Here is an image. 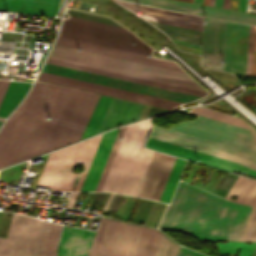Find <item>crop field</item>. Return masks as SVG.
I'll return each mask as SVG.
<instances>
[{
  "label": "crop field",
  "mask_w": 256,
  "mask_h": 256,
  "mask_svg": "<svg viewBox=\"0 0 256 256\" xmlns=\"http://www.w3.org/2000/svg\"><path fill=\"white\" fill-rule=\"evenodd\" d=\"M251 208L180 181L159 228L185 231L204 240L238 241Z\"/></svg>",
  "instance_id": "8a807250"
},
{
  "label": "crop field",
  "mask_w": 256,
  "mask_h": 256,
  "mask_svg": "<svg viewBox=\"0 0 256 256\" xmlns=\"http://www.w3.org/2000/svg\"><path fill=\"white\" fill-rule=\"evenodd\" d=\"M151 138L239 163L256 170V133L198 116L169 130L154 126Z\"/></svg>",
  "instance_id": "ac0d7876"
},
{
  "label": "crop field",
  "mask_w": 256,
  "mask_h": 256,
  "mask_svg": "<svg viewBox=\"0 0 256 256\" xmlns=\"http://www.w3.org/2000/svg\"><path fill=\"white\" fill-rule=\"evenodd\" d=\"M72 90L61 88L30 157L43 152ZM99 97L74 89L44 152L79 140Z\"/></svg>",
  "instance_id": "34b2d1b8"
},
{
  "label": "crop field",
  "mask_w": 256,
  "mask_h": 256,
  "mask_svg": "<svg viewBox=\"0 0 256 256\" xmlns=\"http://www.w3.org/2000/svg\"><path fill=\"white\" fill-rule=\"evenodd\" d=\"M153 119L127 127L102 191L136 196L147 169L152 150L142 148Z\"/></svg>",
  "instance_id": "412701ff"
},
{
  "label": "crop field",
  "mask_w": 256,
  "mask_h": 256,
  "mask_svg": "<svg viewBox=\"0 0 256 256\" xmlns=\"http://www.w3.org/2000/svg\"><path fill=\"white\" fill-rule=\"evenodd\" d=\"M43 71L181 102L206 94L51 58L48 59Z\"/></svg>",
  "instance_id": "f4fd0767"
},
{
  "label": "crop field",
  "mask_w": 256,
  "mask_h": 256,
  "mask_svg": "<svg viewBox=\"0 0 256 256\" xmlns=\"http://www.w3.org/2000/svg\"><path fill=\"white\" fill-rule=\"evenodd\" d=\"M101 135L51 153L37 184L50 190L79 191ZM81 164L84 171L72 173Z\"/></svg>",
  "instance_id": "dd49c442"
},
{
  "label": "crop field",
  "mask_w": 256,
  "mask_h": 256,
  "mask_svg": "<svg viewBox=\"0 0 256 256\" xmlns=\"http://www.w3.org/2000/svg\"><path fill=\"white\" fill-rule=\"evenodd\" d=\"M41 74H42V72H41ZM41 74H40V76H41ZM40 76H39V78H40ZM39 78H38V80H39ZM40 80L58 84V85L67 86V87H72V88H76V89H80V90L94 92V93H98V94H103V95H108V96L126 99V100H130V101L149 104V105H153V106L163 107V108H167V109H170L174 104L179 103L176 101H171V100H167V99H162V98L144 95V94H140V93H135V92H131V91H126V90H122V89H117V88H113V87L103 86V85L94 84V83H90V82L80 81V80L62 77V76H58V75L48 74V73H44V72H43Z\"/></svg>",
  "instance_id": "e52e79f7"
},
{
  "label": "crop field",
  "mask_w": 256,
  "mask_h": 256,
  "mask_svg": "<svg viewBox=\"0 0 256 256\" xmlns=\"http://www.w3.org/2000/svg\"><path fill=\"white\" fill-rule=\"evenodd\" d=\"M249 26L228 22L224 71L246 75Z\"/></svg>",
  "instance_id": "d8731c3e"
},
{
  "label": "crop field",
  "mask_w": 256,
  "mask_h": 256,
  "mask_svg": "<svg viewBox=\"0 0 256 256\" xmlns=\"http://www.w3.org/2000/svg\"><path fill=\"white\" fill-rule=\"evenodd\" d=\"M145 147L151 148V149H154V150H158V151H161V152H164V153H168V154H171V155H175V156H178V157H182V158H185V159H189V160H192V161H195V162L197 160H199L200 161L199 163L206 164V165H209V166H213V167L223 169V170H226V171H230V172L235 171V172H239V173H243V174H246V175L256 177V171L248 169V168H246L244 166H241L239 164L232 163V162L222 160V159H219V158H215V157L205 155V154H202V153H199V152H195V151H192V150H188V149L178 147V146H175V145H171V144L161 142V141H158V140H155V139L149 138Z\"/></svg>",
  "instance_id": "5a996713"
},
{
  "label": "crop field",
  "mask_w": 256,
  "mask_h": 256,
  "mask_svg": "<svg viewBox=\"0 0 256 256\" xmlns=\"http://www.w3.org/2000/svg\"><path fill=\"white\" fill-rule=\"evenodd\" d=\"M175 159L155 151L137 196L158 200Z\"/></svg>",
  "instance_id": "3316defc"
},
{
  "label": "crop field",
  "mask_w": 256,
  "mask_h": 256,
  "mask_svg": "<svg viewBox=\"0 0 256 256\" xmlns=\"http://www.w3.org/2000/svg\"><path fill=\"white\" fill-rule=\"evenodd\" d=\"M205 21L208 24L204 30L202 66L205 61L215 62V67H204L223 71L227 22L210 18H205Z\"/></svg>",
  "instance_id": "28ad6ade"
},
{
  "label": "crop field",
  "mask_w": 256,
  "mask_h": 256,
  "mask_svg": "<svg viewBox=\"0 0 256 256\" xmlns=\"http://www.w3.org/2000/svg\"><path fill=\"white\" fill-rule=\"evenodd\" d=\"M136 2H141L145 4L155 5L167 9L191 12L198 15H203L206 12V15L213 18H218L222 20H231L246 24H253L256 25V15L244 14L239 12H233L223 9H217L207 6L183 3L173 0H131Z\"/></svg>",
  "instance_id": "d1516ede"
},
{
  "label": "crop field",
  "mask_w": 256,
  "mask_h": 256,
  "mask_svg": "<svg viewBox=\"0 0 256 256\" xmlns=\"http://www.w3.org/2000/svg\"><path fill=\"white\" fill-rule=\"evenodd\" d=\"M116 1L137 14L141 12V16L145 19L202 31L203 17L201 16L178 13L121 0Z\"/></svg>",
  "instance_id": "22f410ed"
},
{
  "label": "crop field",
  "mask_w": 256,
  "mask_h": 256,
  "mask_svg": "<svg viewBox=\"0 0 256 256\" xmlns=\"http://www.w3.org/2000/svg\"><path fill=\"white\" fill-rule=\"evenodd\" d=\"M56 43L71 46V47H76V48H80V49H84V50H89V51H93V52H98V53H102V54H107V55H111V56H116V57H120V58H124V59H129V60H133V61H138V62H142V63H147V64H151V65H156V66L169 68V69H173V70L182 71L181 68L172 61L147 57V56L140 55V54L126 52V51H122V50H118V49H113V48H109V47H105V46H100V45L91 44V43H87V42H83V41L69 39V38H65V37H61V36L58 37Z\"/></svg>",
  "instance_id": "cbeb9de0"
},
{
  "label": "crop field",
  "mask_w": 256,
  "mask_h": 256,
  "mask_svg": "<svg viewBox=\"0 0 256 256\" xmlns=\"http://www.w3.org/2000/svg\"><path fill=\"white\" fill-rule=\"evenodd\" d=\"M95 233L64 226L58 256H87Z\"/></svg>",
  "instance_id": "5142ce71"
},
{
  "label": "crop field",
  "mask_w": 256,
  "mask_h": 256,
  "mask_svg": "<svg viewBox=\"0 0 256 256\" xmlns=\"http://www.w3.org/2000/svg\"><path fill=\"white\" fill-rule=\"evenodd\" d=\"M144 106L143 104L113 98L97 132L137 120Z\"/></svg>",
  "instance_id": "d9b57169"
},
{
  "label": "crop field",
  "mask_w": 256,
  "mask_h": 256,
  "mask_svg": "<svg viewBox=\"0 0 256 256\" xmlns=\"http://www.w3.org/2000/svg\"><path fill=\"white\" fill-rule=\"evenodd\" d=\"M118 129L102 135L80 191L95 190Z\"/></svg>",
  "instance_id": "733c2abd"
},
{
  "label": "crop field",
  "mask_w": 256,
  "mask_h": 256,
  "mask_svg": "<svg viewBox=\"0 0 256 256\" xmlns=\"http://www.w3.org/2000/svg\"><path fill=\"white\" fill-rule=\"evenodd\" d=\"M62 29L149 48L147 45H145L142 41L137 39L135 36L126 34V33L116 32L112 30L93 27V26L70 22L66 20L63 21ZM133 42H135V44H133Z\"/></svg>",
  "instance_id": "4a817a6b"
},
{
  "label": "crop field",
  "mask_w": 256,
  "mask_h": 256,
  "mask_svg": "<svg viewBox=\"0 0 256 256\" xmlns=\"http://www.w3.org/2000/svg\"><path fill=\"white\" fill-rule=\"evenodd\" d=\"M120 222L101 219L91 249L110 252L120 227ZM91 250L89 256H109L110 253Z\"/></svg>",
  "instance_id": "bc2a9ffb"
},
{
  "label": "crop field",
  "mask_w": 256,
  "mask_h": 256,
  "mask_svg": "<svg viewBox=\"0 0 256 256\" xmlns=\"http://www.w3.org/2000/svg\"><path fill=\"white\" fill-rule=\"evenodd\" d=\"M141 228L122 223L110 256H131Z\"/></svg>",
  "instance_id": "214f88e0"
},
{
  "label": "crop field",
  "mask_w": 256,
  "mask_h": 256,
  "mask_svg": "<svg viewBox=\"0 0 256 256\" xmlns=\"http://www.w3.org/2000/svg\"><path fill=\"white\" fill-rule=\"evenodd\" d=\"M232 195L237 196L236 200L230 199ZM226 199L256 206V181L239 176Z\"/></svg>",
  "instance_id": "92a150f3"
},
{
  "label": "crop field",
  "mask_w": 256,
  "mask_h": 256,
  "mask_svg": "<svg viewBox=\"0 0 256 256\" xmlns=\"http://www.w3.org/2000/svg\"><path fill=\"white\" fill-rule=\"evenodd\" d=\"M31 83L11 81L0 104V116L6 117L17 105Z\"/></svg>",
  "instance_id": "dafd665d"
},
{
  "label": "crop field",
  "mask_w": 256,
  "mask_h": 256,
  "mask_svg": "<svg viewBox=\"0 0 256 256\" xmlns=\"http://www.w3.org/2000/svg\"><path fill=\"white\" fill-rule=\"evenodd\" d=\"M162 233L142 228L132 256H154Z\"/></svg>",
  "instance_id": "00972430"
},
{
  "label": "crop field",
  "mask_w": 256,
  "mask_h": 256,
  "mask_svg": "<svg viewBox=\"0 0 256 256\" xmlns=\"http://www.w3.org/2000/svg\"><path fill=\"white\" fill-rule=\"evenodd\" d=\"M60 0H22L20 11L23 13L55 16Z\"/></svg>",
  "instance_id": "a9b5d70f"
},
{
  "label": "crop field",
  "mask_w": 256,
  "mask_h": 256,
  "mask_svg": "<svg viewBox=\"0 0 256 256\" xmlns=\"http://www.w3.org/2000/svg\"><path fill=\"white\" fill-rule=\"evenodd\" d=\"M59 35L74 38V39H79V40H83V41H87V42H92V43H96V44H101V45H105V46H110V47H114V48H119V49H123V50H127V51H132V52H136V53H141V54H145L148 56L151 55V51H152V50L146 49V48L127 45V44H123V43H118V42H114V41H109V40H105V39L87 36V35L77 34V33L68 32V31H64V30H61Z\"/></svg>",
  "instance_id": "4177f3b9"
},
{
  "label": "crop field",
  "mask_w": 256,
  "mask_h": 256,
  "mask_svg": "<svg viewBox=\"0 0 256 256\" xmlns=\"http://www.w3.org/2000/svg\"><path fill=\"white\" fill-rule=\"evenodd\" d=\"M149 22H151L153 25L161 29L170 37L201 44L202 32L200 31L157 23L153 21H149Z\"/></svg>",
  "instance_id": "730fd06b"
},
{
  "label": "crop field",
  "mask_w": 256,
  "mask_h": 256,
  "mask_svg": "<svg viewBox=\"0 0 256 256\" xmlns=\"http://www.w3.org/2000/svg\"><path fill=\"white\" fill-rule=\"evenodd\" d=\"M111 99L109 97H100L81 139L96 132Z\"/></svg>",
  "instance_id": "eef30255"
},
{
  "label": "crop field",
  "mask_w": 256,
  "mask_h": 256,
  "mask_svg": "<svg viewBox=\"0 0 256 256\" xmlns=\"http://www.w3.org/2000/svg\"><path fill=\"white\" fill-rule=\"evenodd\" d=\"M186 160L177 158L159 200L168 202L174 192Z\"/></svg>",
  "instance_id": "ae1a2a85"
},
{
  "label": "crop field",
  "mask_w": 256,
  "mask_h": 256,
  "mask_svg": "<svg viewBox=\"0 0 256 256\" xmlns=\"http://www.w3.org/2000/svg\"><path fill=\"white\" fill-rule=\"evenodd\" d=\"M191 113L252 130L245 122L240 119L213 112L204 108L192 109Z\"/></svg>",
  "instance_id": "d3111659"
},
{
  "label": "crop field",
  "mask_w": 256,
  "mask_h": 256,
  "mask_svg": "<svg viewBox=\"0 0 256 256\" xmlns=\"http://www.w3.org/2000/svg\"><path fill=\"white\" fill-rule=\"evenodd\" d=\"M60 232L61 225L52 223L43 256L55 255V249L59 239Z\"/></svg>",
  "instance_id": "750c4746"
},
{
  "label": "crop field",
  "mask_w": 256,
  "mask_h": 256,
  "mask_svg": "<svg viewBox=\"0 0 256 256\" xmlns=\"http://www.w3.org/2000/svg\"><path fill=\"white\" fill-rule=\"evenodd\" d=\"M125 128H126V126L120 127V129H119V131H118V134H117V136H116L115 142H114V144H113V147H112V149H111V152H110V154H109L108 160H107V162H106V165H105V167H104V170H103V172H102V175H101V177H100L99 183H98L97 188H96L95 191H100L101 188H102V185H103V183H104V180H105V178H106V175H107V173H108V170H109V168H110V165H111V163H112V161H113V158H114V156H115V153H116L117 148H118V146H119V143H120V141H121L120 138L122 137Z\"/></svg>",
  "instance_id": "bd1437ed"
},
{
  "label": "crop field",
  "mask_w": 256,
  "mask_h": 256,
  "mask_svg": "<svg viewBox=\"0 0 256 256\" xmlns=\"http://www.w3.org/2000/svg\"><path fill=\"white\" fill-rule=\"evenodd\" d=\"M171 241L162 235L155 256H175L179 245Z\"/></svg>",
  "instance_id": "1d83c4d3"
},
{
  "label": "crop field",
  "mask_w": 256,
  "mask_h": 256,
  "mask_svg": "<svg viewBox=\"0 0 256 256\" xmlns=\"http://www.w3.org/2000/svg\"><path fill=\"white\" fill-rule=\"evenodd\" d=\"M67 13L69 15L76 16V17H81V18H86V19H90V20H95V21H99V22H104V23H108V24L121 26V25L117 24L116 22H114L113 20L106 18L104 16H100V15L81 12V11H77V10H68Z\"/></svg>",
  "instance_id": "120bbe31"
},
{
  "label": "crop field",
  "mask_w": 256,
  "mask_h": 256,
  "mask_svg": "<svg viewBox=\"0 0 256 256\" xmlns=\"http://www.w3.org/2000/svg\"><path fill=\"white\" fill-rule=\"evenodd\" d=\"M219 253L226 254V253H233L236 252L238 249L239 242H227V243H216Z\"/></svg>",
  "instance_id": "d32e631a"
},
{
  "label": "crop field",
  "mask_w": 256,
  "mask_h": 256,
  "mask_svg": "<svg viewBox=\"0 0 256 256\" xmlns=\"http://www.w3.org/2000/svg\"><path fill=\"white\" fill-rule=\"evenodd\" d=\"M21 0H0V10L18 12Z\"/></svg>",
  "instance_id": "5866460e"
},
{
  "label": "crop field",
  "mask_w": 256,
  "mask_h": 256,
  "mask_svg": "<svg viewBox=\"0 0 256 256\" xmlns=\"http://www.w3.org/2000/svg\"><path fill=\"white\" fill-rule=\"evenodd\" d=\"M254 26H250L247 75H250Z\"/></svg>",
  "instance_id": "028f5c9d"
},
{
  "label": "crop field",
  "mask_w": 256,
  "mask_h": 256,
  "mask_svg": "<svg viewBox=\"0 0 256 256\" xmlns=\"http://www.w3.org/2000/svg\"><path fill=\"white\" fill-rule=\"evenodd\" d=\"M255 243L245 244L240 242L238 256H251V252Z\"/></svg>",
  "instance_id": "e1f06a70"
},
{
  "label": "crop field",
  "mask_w": 256,
  "mask_h": 256,
  "mask_svg": "<svg viewBox=\"0 0 256 256\" xmlns=\"http://www.w3.org/2000/svg\"><path fill=\"white\" fill-rule=\"evenodd\" d=\"M251 75H256V26H255V32H254V44H253V57H252Z\"/></svg>",
  "instance_id": "0bd39190"
},
{
  "label": "crop field",
  "mask_w": 256,
  "mask_h": 256,
  "mask_svg": "<svg viewBox=\"0 0 256 256\" xmlns=\"http://www.w3.org/2000/svg\"><path fill=\"white\" fill-rule=\"evenodd\" d=\"M176 256H204V255L187 250L180 246Z\"/></svg>",
  "instance_id": "b80d0937"
},
{
  "label": "crop field",
  "mask_w": 256,
  "mask_h": 256,
  "mask_svg": "<svg viewBox=\"0 0 256 256\" xmlns=\"http://www.w3.org/2000/svg\"><path fill=\"white\" fill-rule=\"evenodd\" d=\"M10 81L0 80V102Z\"/></svg>",
  "instance_id": "c035e120"
},
{
  "label": "crop field",
  "mask_w": 256,
  "mask_h": 256,
  "mask_svg": "<svg viewBox=\"0 0 256 256\" xmlns=\"http://www.w3.org/2000/svg\"><path fill=\"white\" fill-rule=\"evenodd\" d=\"M79 193H75V192H72L71 195H70V198L68 200V203H67V207H73L74 203H75V200L77 198Z\"/></svg>",
  "instance_id": "c21b1889"
},
{
  "label": "crop field",
  "mask_w": 256,
  "mask_h": 256,
  "mask_svg": "<svg viewBox=\"0 0 256 256\" xmlns=\"http://www.w3.org/2000/svg\"><path fill=\"white\" fill-rule=\"evenodd\" d=\"M247 0H240L239 10L246 12Z\"/></svg>",
  "instance_id": "03da06ac"
},
{
  "label": "crop field",
  "mask_w": 256,
  "mask_h": 256,
  "mask_svg": "<svg viewBox=\"0 0 256 256\" xmlns=\"http://www.w3.org/2000/svg\"><path fill=\"white\" fill-rule=\"evenodd\" d=\"M230 0H224L223 7L229 9Z\"/></svg>",
  "instance_id": "b54c1fbb"
},
{
  "label": "crop field",
  "mask_w": 256,
  "mask_h": 256,
  "mask_svg": "<svg viewBox=\"0 0 256 256\" xmlns=\"http://www.w3.org/2000/svg\"><path fill=\"white\" fill-rule=\"evenodd\" d=\"M223 0H216L215 6L222 7Z\"/></svg>",
  "instance_id": "5d738f31"
},
{
  "label": "crop field",
  "mask_w": 256,
  "mask_h": 256,
  "mask_svg": "<svg viewBox=\"0 0 256 256\" xmlns=\"http://www.w3.org/2000/svg\"><path fill=\"white\" fill-rule=\"evenodd\" d=\"M129 198H130V197L128 196L127 199H126L125 205H124L123 210H122V212H121V216L123 215V213H124V211H125V208H126V205H127V203H128Z\"/></svg>",
  "instance_id": "d23c7cc5"
},
{
  "label": "crop field",
  "mask_w": 256,
  "mask_h": 256,
  "mask_svg": "<svg viewBox=\"0 0 256 256\" xmlns=\"http://www.w3.org/2000/svg\"><path fill=\"white\" fill-rule=\"evenodd\" d=\"M112 195H113V193L110 194L109 199H108L107 203L105 204L104 210L106 209V207H107V205H108V203H109V201H110Z\"/></svg>",
  "instance_id": "425ffa30"
},
{
  "label": "crop field",
  "mask_w": 256,
  "mask_h": 256,
  "mask_svg": "<svg viewBox=\"0 0 256 256\" xmlns=\"http://www.w3.org/2000/svg\"><path fill=\"white\" fill-rule=\"evenodd\" d=\"M193 3L202 4V0H193Z\"/></svg>",
  "instance_id": "25e5ab78"
},
{
  "label": "crop field",
  "mask_w": 256,
  "mask_h": 256,
  "mask_svg": "<svg viewBox=\"0 0 256 256\" xmlns=\"http://www.w3.org/2000/svg\"><path fill=\"white\" fill-rule=\"evenodd\" d=\"M214 2H215V0H210L209 5L214 6Z\"/></svg>",
  "instance_id": "73cf0c24"
},
{
  "label": "crop field",
  "mask_w": 256,
  "mask_h": 256,
  "mask_svg": "<svg viewBox=\"0 0 256 256\" xmlns=\"http://www.w3.org/2000/svg\"><path fill=\"white\" fill-rule=\"evenodd\" d=\"M209 0H203L204 5H208Z\"/></svg>",
  "instance_id": "89e229c0"
},
{
  "label": "crop field",
  "mask_w": 256,
  "mask_h": 256,
  "mask_svg": "<svg viewBox=\"0 0 256 256\" xmlns=\"http://www.w3.org/2000/svg\"><path fill=\"white\" fill-rule=\"evenodd\" d=\"M178 1H186L192 3V0H178Z\"/></svg>",
  "instance_id": "1f2cbd36"
},
{
  "label": "crop field",
  "mask_w": 256,
  "mask_h": 256,
  "mask_svg": "<svg viewBox=\"0 0 256 256\" xmlns=\"http://www.w3.org/2000/svg\"><path fill=\"white\" fill-rule=\"evenodd\" d=\"M2 213H3V212H0V221H1Z\"/></svg>",
  "instance_id": "dbb93151"
},
{
  "label": "crop field",
  "mask_w": 256,
  "mask_h": 256,
  "mask_svg": "<svg viewBox=\"0 0 256 256\" xmlns=\"http://www.w3.org/2000/svg\"><path fill=\"white\" fill-rule=\"evenodd\" d=\"M0 123H1V121H0Z\"/></svg>",
  "instance_id": "0fb4a251"
}]
</instances>
